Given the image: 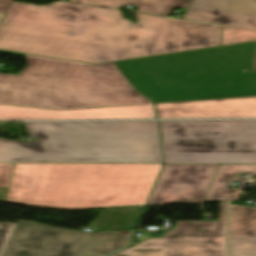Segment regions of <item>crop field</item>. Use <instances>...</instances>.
<instances>
[{
    "instance_id": "crop-field-6",
    "label": "crop field",
    "mask_w": 256,
    "mask_h": 256,
    "mask_svg": "<svg viewBox=\"0 0 256 256\" xmlns=\"http://www.w3.org/2000/svg\"><path fill=\"white\" fill-rule=\"evenodd\" d=\"M165 163L256 164V121L159 122Z\"/></svg>"
},
{
    "instance_id": "crop-field-10",
    "label": "crop field",
    "mask_w": 256,
    "mask_h": 256,
    "mask_svg": "<svg viewBox=\"0 0 256 256\" xmlns=\"http://www.w3.org/2000/svg\"><path fill=\"white\" fill-rule=\"evenodd\" d=\"M145 118H156L153 104L81 110H49L0 105L1 120Z\"/></svg>"
},
{
    "instance_id": "crop-field-14",
    "label": "crop field",
    "mask_w": 256,
    "mask_h": 256,
    "mask_svg": "<svg viewBox=\"0 0 256 256\" xmlns=\"http://www.w3.org/2000/svg\"><path fill=\"white\" fill-rule=\"evenodd\" d=\"M13 0H0V13L5 14ZM193 0H72L74 3L119 8L126 4L139 12L168 16L173 7L188 9Z\"/></svg>"
},
{
    "instance_id": "crop-field-22",
    "label": "crop field",
    "mask_w": 256,
    "mask_h": 256,
    "mask_svg": "<svg viewBox=\"0 0 256 256\" xmlns=\"http://www.w3.org/2000/svg\"><path fill=\"white\" fill-rule=\"evenodd\" d=\"M4 16H5V15L0 14V23H1L2 19L4 18Z\"/></svg>"
},
{
    "instance_id": "crop-field-4",
    "label": "crop field",
    "mask_w": 256,
    "mask_h": 256,
    "mask_svg": "<svg viewBox=\"0 0 256 256\" xmlns=\"http://www.w3.org/2000/svg\"><path fill=\"white\" fill-rule=\"evenodd\" d=\"M26 55L17 75L0 74V104L81 109L151 103L113 63L91 65Z\"/></svg>"
},
{
    "instance_id": "crop-field-21",
    "label": "crop field",
    "mask_w": 256,
    "mask_h": 256,
    "mask_svg": "<svg viewBox=\"0 0 256 256\" xmlns=\"http://www.w3.org/2000/svg\"><path fill=\"white\" fill-rule=\"evenodd\" d=\"M1 54H7V55H13V56H19V57H25L24 54L20 53H13V52H6V51H0Z\"/></svg>"
},
{
    "instance_id": "crop-field-19",
    "label": "crop field",
    "mask_w": 256,
    "mask_h": 256,
    "mask_svg": "<svg viewBox=\"0 0 256 256\" xmlns=\"http://www.w3.org/2000/svg\"><path fill=\"white\" fill-rule=\"evenodd\" d=\"M16 224L0 223V256L15 228Z\"/></svg>"
},
{
    "instance_id": "crop-field-15",
    "label": "crop field",
    "mask_w": 256,
    "mask_h": 256,
    "mask_svg": "<svg viewBox=\"0 0 256 256\" xmlns=\"http://www.w3.org/2000/svg\"><path fill=\"white\" fill-rule=\"evenodd\" d=\"M240 172L256 177V165H220L205 201L238 199L240 193L228 188L235 175Z\"/></svg>"
},
{
    "instance_id": "crop-field-2",
    "label": "crop field",
    "mask_w": 256,
    "mask_h": 256,
    "mask_svg": "<svg viewBox=\"0 0 256 256\" xmlns=\"http://www.w3.org/2000/svg\"><path fill=\"white\" fill-rule=\"evenodd\" d=\"M162 165L14 163L5 201L61 209L145 205Z\"/></svg>"
},
{
    "instance_id": "crop-field-8",
    "label": "crop field",
    "mask_w": 256,
    "mask_h": 256,
    "mask_svg": "<svg viewBox=\"0 0 256 256\" xmlns=\"http://www.w3.org/2000/svg\"><path fill=\"white\" fill-rule=\"evenodd\" d=\"M227 202L219 221H177L164 238H151L113 256H225Z\"/></svg>"
},
{
    "instance_id": "crop-field-7",
    "label": "crop field",
    "mask_w": 256,
    "mask_h": 256,
    "mask_svg": "<svg viewBox=\"0 0 256 256\" xmlns=\"http://www.w3.org/2000/svg\"><path fill=\"white\" fill-rule=\"evenodd\" d=\"M63 229L19 220L2 256H104L125 247L131 232Z\"/></svg>"
},
{
    "instance_id": "crop-field-3",
    "label": "crop field",
    "mask_w": 256,
    "mask_h": 256,
    "mask_svg": "<svg viewBox=\"0 0 256 256\" xmlns=\"http://www.w3.org/2000/svg\"><path fill=\"white\" fill-rule=\"evenodd\" d=\"M254 42L115 62L154 103L256 96Z\"/></svg>"
},
{
    "instance_id": "crop-field-13",
    "label": "crop field",
    "mask_w": 256,
    "mask_h": 256,
    "mask_svg": "<svg viewBox=\"0 0 256 256\" xmlns=\"http://www.w3.org/2000/svg\"><path fill=\"white\" fill-rule=\"evenodd\" d=\"M31 143L0 139V162H48V122H23Z\"/></svg>"
},
{
    "instance_id": "crop-field-17",
    "label": "crop field",
    "mask_w": 256,
    "mask_h": 256,
    "mask_svg": "<svg viewBox=\"0 0 256 256\" xmlns=\"http://www.w3.org/2000/svg\"><path fill=\"white\" fill-rule=\"evenodd\" d=\"M228 256H256V237L229 239Z\"/></svg>"
},
{
    "instance_id": "crop-field-16",
    "label": "crop field",
    "mask_w": 256,
    "mask_h": 256,
    "mask_svg": "<svg viewBox=\"0 0 256 256\" xmlns=\"http://www.w3.org/2000/svg\"><path fill=\"white\" fill-rule=\"evenodd\" d=\"M256 236V208L230 205L229 238Z\"/></svg>"
},
{
    "instance_id": "crop-field-5",
    "label": "crop field",
    "mask_w": 256,
    "mask_h": 256,
    "mask_svg": "<svg viewBox=\"0 0 256 256\" xmlns=\"http://www.w3.org/2000/svg\"><path fill=\"white\" fill-rule=\"evenodd\" d=\"M49 162L163 163L158 121L49 122Z\"/></svg>"
},
{
    "instance_id": "crop-field-1",
    "label": "crop field",
    "mask_w": 256,
    "mask_h": 256,
    "mask_svg": "<svg viewBox=\"0 0 256 256\" xmlns=\"http://www.w3.org/2000/svg\"><path fill=\"white\" fill-rule=\"evenodd\" d=\"M220 45V26L138 14V24L115 9L56 2H12L0 24V49L101 63Z\"/></svg>"
},
{
    "instance_id": "crop-field-9",
    "label": "crop field",
    "mask_w": 256,
    "mask_h": 256,
    "mask_svg": "<svg viewBox=\"0 0 256 256\" xmlns=\"http://www.w3.org/2000/svg\"><path fill=\"white\" fill-rule=\"evenodd\" d=\"M217 166L165 164L147 205L202 201Z\"/></svg>"
},
{
    "instance_id": "crop-field-11",
    "label": "crop field",
    "mask_w": 256,
    "mask_h": 256,
    "mask_svg": "<svg viewBox=\"0 0 256 256\" xmlns=\"http://www.w3.org/2000/svg\"><path fill=\"white\" fill-rule=\"evenodd\" d=\"M158 118H256V97L155 104Z\"/></svg>"
},
{
    "instance_id": "crop-field-20",
    "label": "crop field",
    "mask_w": 256,
    "mask_h": 256,
    "mask_svg": "<svg viewBox=\"0 0 256 256\" xmlns=\"http://www.w3.org/2000/svg\"><path fill=\"white\" fill-rule=\"evenodd\" d=\"M13 164H0V188H8V181Z\"/></svg>"
},
{
    "instance_id": "crop-field-12",
    "label": "crop field",
    "mask_w": 256,
    "mask_h": 256,
    "mask_svg": "<svg viewBox=\"0 0 256 256\" xmlns=\"http://www.w3.org/2000/svg\"><path fill=\"white\" fill-rule=\"evenodd\" d=\"M182 18L256 29V0H194Z\"/></svg>"
},
{
    "instance_id": "crop-field-18",
    "label": "crop field",
    "mask_w": 256,
    "mask_h": 256,
    "mask_svg": "<svg viewBox=\"0 0 256 256\" xmlns=\"http://www.w3.org/2000/svg\"><path fill=\"white\" fill-rule=\"evenodd\" d=\"M256 40V31L222 26V45L244 43Z\"/></svg>"
}]
</instances>
